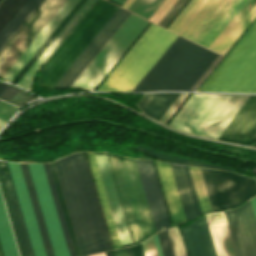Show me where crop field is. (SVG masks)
Returning <instances> with one entry per match:
<instances>
[{
  "instance_id": "obj_1",
  "label": "crop field",
  "mask_w": 256,
  "mask_h": 256,
  "mask_svg": "<svg viewBox=\"0 0 256 256\" xmlns=\"http://www.w3.org/2000/svg\"><path fill=\"white\" fill-rule=\"evenodd\" d=\"M176 37L152 23L97 91H133ZM216 56L178 36L134 91H189Z\"/></svg>"
},
{
  "instance_id": "obj_2",
  "label": "crop field",
  "mask_w": 256,
  "mask_h": 256,
  "mask_svg": "<svg viewBox=\"0 0 256 256\" xmlns=\"http://www.w3.org/2000/svg\"><path fill=\"white\" fill-rule=\"evenodd\" d=\"M54 163L80 254L111 250L85 154L75 153Z\"/></svg>"
},
{
  "instance_id": "obj_3",
  "label": "crop field",
  "mask_w": 256,
  "mask_h": 256,
  "mask_svg": "<svg viewBox=\"0 0 256 256\" xmlns=\"http://www.w3.org/2000/svg\"><path fill=\"white\" fill-rule=\"evenodd\" d=\"M248 97L192 93L169 126L217 139Z\"/></svg>"
},
{
  "instance_id": "obj_4",
  "label": "crop field",
  "mask_w": 256,
  "mask_h": 256,
  "mask_svg": "<svg viewBox=\"0 0 256 256\" xmlns=\"http://www.w3.org/2000/svg\"><path fill=\"white\" fill-rule=\"evenodd\" d=\"M246 1L192 0L169 30L208 48Z\"/></svg>"
},
{
  "instance_id": "obj_5",
  "label": "crop field",
  "mask_w": 256,
  "mask_h": 256,
  "mask_svg": "<svg viewBox=\"0 0 256 256\" xmlns=\"http://www.w3.org/2000/svg\"><path fill=\"white\" fill-rule=\"evenodd\" d=\"M198 91L256 93V22Z\"/></svg>"
},
{
  "instance_id": "obj_6",
  "label": "crop field",
  "mask_w": 256,
  "mask_h": 256,
  "mask_svg": "<svg viewBox=\"0 0 256 256\" xmlns=\"http://www.w3.org/2000/svg\"><path fill=\"white\" fill-rule=\"evenodd\" d=\"M108 158L135 245L156 233L136 164L112 154Z\"/></svg>"
},
{
  "instance_id": "obj_7",
  "label": "crop field",
  "mask_w": 256,
  "mask_h": 256,
  "mask_svg": "<svg viewBox=\"0 0 256 256\" xmlns=\"http://www.w3.org/2000/svg\"><path fill=\"white\" fill-rule=\"evenodd\" d=\"M118 7L100 0L43 68L40 84L52 88Z\"/></svg>"
},
{
  "instance_id": "obj_8",
  "label": "crop field",
  "mask_w": 256,
  "mask_h": 256,
  "mask_svg": "<svg viewBox=\"0 0 256 256\" xmlns=\"http://www.w3.org/2000/svg\"><path fill=\"white\" fill-rule=\"evenodd\" d=\"M148 24L131 14L72 86L95 90Z\"/></svg>"
},
{
  "instance_id": "obj_9",
  "label": "crop field",
  "mask_w": 256,
  "mask_h": 256,
  "mask_svg": "<svg viewBox=\"0 0 256 256\" xmlns=\"http://www.w3.org/2000/svg\"><path fill=\"white\" fill-rule=\"evenodd\" d=\"M200 169L213 212L231 209L256 194V182L252 178Z\"/></svg>"
},
{
  "instance_id": "obj_10",
  "label": "crop field",
  "mask_w": 256,
  "mask_h": 256,
  "mask_svg": "<svg viewBox=\"0 0 256 256\" xmlns=\"http://www.w3.org/2000/svg\"><path fill=\"white\" fill-rule=\"evenodd\" d=\"M66 0H43L0 51V78L22 54Z\"/></svg>"
},
{
  "instance_id": "obj_11",
  "label": "crop field",
  "mask_w": 256,
  "mask_h": 256,
  "mask_svg": "<svg viewBox=\"0 0 256 256\" xmlns=\"http://www.w3.org/2000/svg\"><path fill=\"white\" fill-rule=\"evenodd\" d=\"M55 256H69L42 164H28Z\"/></svg>"
},
{
  "instance_id": "obj_12",
  "label": "crop field",
  "mask_w": 256,
  "mask_h": 256,
  "mask_svg": "<svg viewBox=\"0 0 256 256\" xmlns=\"http://www.w3.org/2000/svg\"><path fill=\"white\" fill-rule=\"evenodd\" d=\"M129 15L130 13L118 8L53 88H69Z\"/></svg>"
},
{
  "instance_id": "obj_13",
  "label": "crop field",
  "mask_w": 256,
  "mask_h": 256,
  "mask_svg": "<svg viewBox=\"0 0 256 256\" xmlns=\"http://www.w3.org/2000/svg\"><path fill=\"white\" fill-rule=\"evenodd\" d=\"M224 213L237 256H256V218L251 201Z\"/></svg>"
},
{
  "instance_id": "obj_14",
  "label": "crop field",
  "mask_w": 256,
  "mask_h": 256,
  "mask_svg": "<svg viewBox=\"0 0 256 256\" xmlns=\"http://www.w3.org/2000/svg\"><path fill=\"white\" fill-rule=\"evenodd\" d=\"M155 224L156 231L170 227L163 197L152 161L135 160Z\"/></svg>"
},
{
  "instance_id": "obj_15",
  "label": "crop field",
  "mask_w": 256,
  "mask_h": 256,
  "mask_svg": "<svg viewBox=\"0 0 256 256\" xmlns=\"http://www.w3.org/2000/svg\"><path fill=\"white\" fill-rule=\"evenodd\" d=\"M256 138V96H250L219 140L251 145Z\"/></svg>"
},
{
  "instance_id": "obj_16",
  "label": "crop field",
  "mask_w": 256,
  "mask_h": 256,
  "mask_svg": "<svg viewBox=\"0 0 256 256\" xmlns=\"http://www.w3.org/2000/svg\"><path fill=\"white\" fill-rule=\"evenodd\" d=\"M256 17V0H248L208 49L225 55Z\"/></svg>"
},
{
  "instance_id": "obj_17",
  "label": "crop field",
  "mask_w": 256,
  "mask_h": 256,
  "mask_svg": "<svg viewBox=\"0 0 256 256\" xmlns=\"http://www.w3.org/2000/svg\"><path fill=\"white\" fill-rule=\"evenodd\" d=\"M9 163L11 174L14 180L18 198L21 204L25 222L28 228L32 246L35 252V256H46L40 233L37 227L35 216L32 210L30 199L27 193L23 175L20 169V165L16 163Z\"/></svg>"
},
{
  "instance_id": "obj_18",
  "label": "crop field",
  "mask_w": 256,
  "mask_h": 256,
  "mask_svg": "<svg viewBox=\"0 0 256 256\" xmlns=\"http://www.w3.org/2000/svg\"><path fill=\"white\" fill-rule=\"evenodd\" d=\"M95 154H106V153H102V152H94ZM96 156V160H97V163H98V166H99V170H100V173H101V176H102V180H103V183H104V187H105V190H106V193H107V197H108V200H109V203H110V207H111V210H112V213H113V217H114V220H115V224H116V227H117V230H118V234H119V237H120V240H121V244H126V243H130V237H129V234H128V231H127V227H126V224H125V221H124V217H123V214H122V210H121V207H120V204H119V200H118V197H117V193H116V190H115V187H114V183H113V180H112V177H111V173H110V170H109V166H108V163H107V160H106V156L105 155H95ZM113 176V175H112ZM130 245H133L132 243L130 244H127V245H123L122 247L124 246H130Z\"/></svg>"
},
{
  "instance_id": "obj_19",
  "label": "crop field",
  "mask_w": 256,
  "mask_h": 256,
  "mask_svg": "<svg viewBox=\"0 0 256 256\" xmlns=\"http://www.w3.org/2000/svg\"><path fill=\"white\" fill-rule=\"evenodd\" d=\"M78 1L79 0H67L65 2V4L60 8V10L55 14V16L50 20V22L45 26V28L40 32V34L35 38L3 78L12 82L16 75L21 71V69L26 65V63L31 59V57L36 53L40 46Z\"/></svg>"
},
{
  "instance_id": "obj_20",
  "label": "crop field",
  "mask_w": 256,
  "mask_h": 256,
  "mask_svg": "<svg viewBox=\"0 0 256 256\" xmlns=\"http://www.w3.org/2000/svg\"><path fill=\"white\" fill-rule=\"evenodd\" d=\"M95 1L96 0H87L84 3V5L82 4L83 6L78 10V12L68 22V24L62 29V31L57 35V37L51 42V44L46 48V50L40 55V57L35 61V63L30 67V69L24 74V76L19 80L17 85H20L31 91V81L35 73L49 58V56L54 52V50L59 46V44L64 40V38L69 34V32L75 27V25L80 21V19L95 3Z\"/></svg>"
},
{
  "instance_id": "obj_21",
  "label": "crop field",
  "mask_w": 256,
  "mask_h": 256,
  "mask_svg": "<svg viewBox=\"0 0 256 256\" xmlns=\"http://www.w3.org/2000/svg\"><path fill=\"white\" fill-rule=\"evenodd\" d=\"M182 231L190 256H216L205 216Z\"/></svg>"
},
{
  "instance_id": "obj_22",
  "label": "crop field",
  "mask_w": 256,
  "mask_h": 256,
  "mask_svg": "<svg viewBox=\"0 0 256 256\" xmlns=\"http://www.w3.org/2000/svg\"><path fill=\"white\" fill-rule=\"evenodd\" d=\"M155 163L166 197L170 215L173 221V225L175 226L179 223L186 221V219L170 169V165L167 163Z\"/></svg>"
},
{
  "instance_id": "obj_23",
  "label": "crop field",
  "mask_w": 256,
  "mask_h": 256,
  "mask_svg": "<svg viewBox=\"0 0 256 256\" xmlns=\"http://www.w3.org/2000/svg\"><path fill=\"white\" fill-rule=\"evenodd\" d=\"M218 256H236L223 212L206 215Z\"/></svg>"
},
{
  "instance_id": "obj_24",
  "label": "crop field",
  "mask_w": 256,
  "mask_h": 256,
  "mask_svg": "<svg viewBox=\"0 0 256 256\" xmlns=\"http://www.w3.org/2000/svg\"><path fill=\"white\" fill-rule=\"evenodd\" d=\"M0 179H1V182H2V186H3V189H4V193H5V196H6V200H7V203H8L9 210H10V214H11V217H12V220H13V224H14V227H15V231H16V234H17V238H18V241H19V245H20V248H21L22 255L23 256H31L30 251H29V247H28V244H27V241H26V237H25V234H24V231H23V227H22V224H21V221H20V217H19V214H18V211H17V207H16V204H15V201H14V197H13V194H12V191H11V187H10V184H9V181H8V177H7L5 168H4V164L1 161H0Z\"/></svg>"
},
{
  "instance_id": "obj_25",
  "label": "crop field",
  "mask_w": 256,
  "mask_h": 256,
  "mask_svg": "<svg viewBox=\"0 0 256 256\" xmlns=\"http://www.w3.org/2000/svg\"><path fill=\"white\" fill-rule=\"evenodd\" d=\"M179 94L180 93L144 94L138 104L144 113L160 121Z\"/></svg>"
},
{
  "instance_id": "obj_26",
  "label": "crop field",
  "mask_w": 256,
  "mask_h": 256,
  "mask_svg": "<svg viewBox=\"0 0 256 256\" xmlns=\"http://www.w3.org/2000/svg\"><path fill=\"white\" fill-rule=\"evenodd\" d=\"M86 154H87V158H88L90 168H91V171H92V174H93V178H94V181H95V184H96V188H97V191H98V194H99V198H100V201H101V204H102V208H103V211H104V214H105V218H106V221H107V224H108V228H109V231H110V234H111V238H112V241H113V244H114V248L115 249L120 248L121 247L120 242H119L118 235H117V232H116V229H115V225H114L113 218H112V215H111V211H110V208H109V205H108V201H107L106 194H105V191H104V187H103V184H102V181H101V177H100L99 170H98V167H97V163H96V160H95V157H94V153L89 152V153H86Z\"/></svg>"
},
{
  "instance_id": "obj_27",
  "label": "crop field",
  "mask_w": 256,
  "mask_h": 256,
  "mask_svg": "<svg viewBox=\"0 0 256 256\" xmlns=\"http://www.w3.org/2000/svg\"><path fill=\"white\" fill-rule=\"evenodd\" d=\"M20 165H21V169H22V172H23V175H24V179H25V182H26L28 193H29V196H30V199H31L33 210H34V213H35V216H36L38 227H39V230H40V233H41V237H42V240H43V244H44V247H45L46 254H47V256H54L52 246H51V243H50V240H49V236H48V233H47V229H46L44 219H43V216H42V213H41V209H40V206H39V202H38L36 192H35V189H34V185H33L31 175H30V172H29V169H28V165L27 164H20Z\"/></svg>"
},
{
  "instance_id": "obj_28",
  "label": "crop field",
  "mask_w": 256,
  "mask_h": 256,
  "mask_svg": "<svg viewBox=\"0 0 256 256\" xmlns=\"http://www.w3.org/2000/svg\"><path fill=\"white\" fill-rule=\"evenodd\" d=\"M42 2V0H27L23 6L18 10L14 17L0 32V50L20 28V26L26 21L36 7Z\"/></svg>"
},
{
  "instance_id": "obj_29",
  "label": "crop field",
  "mask_w": 256,
  "mask_h": 256,
  "mask_svg": "<svg viewBox=\"0 0 256 256\" xmlns=\"http://www.w3.org/2000/svg\"><path fill=\"white\" fill-rule=\"evenodd\" d=\"M0 242H1L2 249L5 256H19L1 194H0ZM1 245H0V256H3Z\"/></svg>"
},
{
  "instance_id": "obj_30",
  "label": "crop field",
  "mask_w": 256,
  "mask_h": 256,
  "mask_svg": "<svg viewBox=\"0 0 256 256\" xmlns=\"http://www.w3.org/2000/svg\"><path fill=\"white\" fill-rule=\"evenodd\" d=\"M171 165V169L174 175V179L177 185V189L180 195V199L183 205V209L186 215V219L195 217V211L192 205L190 194L187 188L185 177L182 171V167L179 165Z\"/></svg>"
},
{
  "instance_id": "obj_31",
  "label": "crop field",
  "mask_w": 256,
  "mask_h": 256,
  "mask_svg": "<svg viewBox=\"0 0 256 256\" xmlns=\"http://www.w3.org/2000/svg\"><path fill=\"white\" fill-rule=\"evenodd\" d=\"M128 148H132V149L144 152V153H146V154H148L152 157H155L157 159L172 162V163L194 165V166L205 167V168H213V169L230 170V169L225 168V167L215 166V165H211V164H207V163H203V162H199V161H195V160H191V159H187V158L167 155V154L155 151L153 149H150V148H147V147H144V146H141V145L137 146L136 148H133V147H128Z\"/></svg>"
},
{
  "instance_id": "obj_32",
  "label": "crop field",
  "mask_w": 256,
  "mask_h": 256,
  "mask_svg": "<svg viewBox=\"0 0 256 256\" xmlns=\"http://www.w3.org/2000/svg\"><path fill=\"white\" fill-rule=\"evenodd\" d=\"M43 165H44V169H45V172H46V175H47V179H48L49 186H50V189H51V192H52V196H53V199H54V203H55V206H56V209H57V213H58V216H59V219H60V223H61V226H62V230H63L64 236H65V240H66V243H67V247H68L70 256H76L75 252H74L72 242H71V238H70V235H69V232H68V228H67V225H66V222H65V218H64V215H63V212H62V208H61V205H60V202H59V198H58V195H57V192H56V188H55V185H54V182H53V178H52V175H51V172H50L49 165L48 164H43Z\"/></svg>"
},
{
  "instance_id": "obj_33",
  "label": "crop field",
  "mask_w": 256,
  "mask_h": 256,
  "mask_svg": "<svg viewBox=\"0 0 256 256\" xmlns=\"http://www.w3.org/2000/svg\"><path fill=\"white\" fill-rule=\"evenodd\" d=\"M86 0H80L71 12L66 16V18L61 22L57 29L52 33V35L47 39V41L42 45L38 52L33 56V58L28 62L24 69L19 73V75L14 79L13 83H17L18 80L23 76V74L29 69V67L34 63V61L39 57V55L45 50V48L50 44V42L56 37V35L61 31V29L67 24V22L72 18V16L77 12V10L82 6Z\"/></svg>"
},
{
  "instance_id": "obj_34",
  "label": "crop field",
  "mask_w": 256,
  "mask_h": 256,
  "mask_svg": "<svg viewBox=\"0 0 256 256\" xmlns=\"http://www.w3.org/2000/svg\"><path fill=\"white\" fill-rule=\"evenodd\" d=\"M203 213L212 212L199 168L189 167Z\"/></svg>"
},
{
  "instance_id": "obj_35",
  "label": "crop field",
  "mask_w": 256,
  "mask_h": 256,
  "mask_svg": "<svg viewBox=\"0 0 256 256\" xmlns=\"http://www.w3.org/2000/svg\"><path fill=\"white\" fill-rule=\"evenodd\" d=\"M163 1L164 0H135L128 10L149 19Z\"/></svg>"
},
{
  "instance_id": "obj_36",
  "label": "crop field",
  "mask_w": 256,
  "mask_h": 256,
  "mask_svg": "<svg viewBox=\"0 0 256 256\" xmlns=\"http://www.w3.org/2000/svg\"><path fill=\"white\" fill-rule=\"evenodd\" d=\"M26 0H3L0 3V31Z\"/></svg>"
},
{
  "instance_id": "obj_37",
  "label": "crop field",
  "mask_w": 256,
  "mask_h": 256,
  "mask_svg": "<svg viewBox=\"0 0 256 256\" xmlns=\"http://www.w3.org/2000/svg\"><path fill=\"white\" fill-rule=\"evenodd\" d=\"M49 165H50L51 172H52V175H53V178H54V182H55V185H56V188H57V192H58V195H59V198H60V202H61V205H62V208H63V212H64V215H65V218H66V222H67V225H68V228H69V232H70V235H71V238H72V242H73V245H74V248H75V252H76V255L79 256L80 255L79 250H78L77 243H76V240H75V237H74V233H73V230H72V226H71V223H70L68 212H67V209H66V206H65V202H64V199H63V195H62V192H61L59 181H58L56 171H55V168H54V164L52 162Z\"/></svg>"
},
{
  "instance_id": "obj_38",
  "label": "crop field",
  "mask_w": 256,
  "mask_h": 256,
  "mask_svg": "<svg viewBox=\"0 0 256 256\" xmlns=\"http://www.w3.org/2000/svg\"><path fill=\"white\" fill-rule=\"evenodd\" d=\"M168 231H169V235L171 238V242L173 245L175 255L176 256H187L186 252H185L184 245H183V241L181 238V234H180L179 230L177 229V227L171 228Z\"/></svg>"
},
{
  "instance_id": "obj_39",
  "label": "crop field",
  "mask_w": 256,
  "mask_h": 256,
  "mask_svg": "<svg viewBox=\"0 0 256 256\" xmlns=\"http://www.w3.org/2000/svg\"><path fill=\"white\" fill-rule=\"evenodd\" d=\"M182 167H183V171H184V174H185V177H186L188 188H189V191H190V194H191L193 205H194V208H195V211H196V215L198 216V215L202 214V212H201V208H200L198 198H197V195H196V192H195V188H194V185H193V182H192V178H191V175H190V172H189V168L185 167V166H182Z\"/></svg>"
},
{
  "instance_id": "obj_40",
  "label": "crop field",
  "mask_w": 256,
  "mask_h": 256,
  "mask_svg": "<svg viewBox=\"0 0 256 256\" xmlns=\"http://www.w3.org/2000/svg\"><path fill=\"white\" fill-rule=\"evenodd\" d=\"M187 2L188 0H178L171 10L166 14V16L161 20L159 25L166 28Z\"/></svg>"
},
{
  "instance_id": "obj_41",
  "label": "crop field",
  "mask_w": 256,
  "mask_h": 256,
  "mask_svg": "<svg viewBox=\"0 0 256 256\" xmlns=\"http://www.w3.org/2000/svg\"><path fill=\"white\" fill-rule=\"evenodd\" d=\"M18 108L0 100V128L13 115Z\"/></svg>"
},
{
  "instance_id": "obj_42",
  "label": "crop field",
  "mask_w": 256,
  "mask_h": 256,
  "mask_svg": "<svg viewBox=\"0 0 256 256\" xmlns=\"http://www.w3.org/2000/svg\"><path fill=\"white\" fill-rule=\"evenodd\" d=\"M158 235H159L164 256H175L172 249L171 242H170V238L168 235V231L166 230V231L160 232L158 233Z\"/></svg>"
},
{
  "instance_id": "obj_43",
  "label": "crop field",
  "mask_w": 256,
  "mask_h": 256,
  "mask_svg": "<svg viewBox=\"0 0 256 256\" xmlns=\"http://www.w3.org/2000/svg\"><path fill=\"white\" fill-rule=\"evenodd\" d=\"M188 94L189 93H181L180 94V96L177 98V100L174 102V104L171 106V108L168 110V112L162 118L161 122L167 124V122L170 120V118L173 116V114L176 112V110L179 108V106L182 104V102L185 100V98L188 96Z\"/></svg>"
},
{
  "instance_id": "obj_44",
  "label": "crop field",
  "mask_w": 256,
  "mask_h": 256,
  "mask_svg": "<svg viewBox=\"0 0 256 256\" xmlns=\"http://www.w3.org/2000/svg\"><path fill=\"white\" fill-rule=\"evenodd\" d=\"M4 163H5V166H6V168H7V173H8V175H9L10 182H11V185H12V188H13V192H14L15 199H16V202H17V206H18V209H19V212H20V216H21V219H22V223H23V226H24V230H25V233H26V236H27V240H28V243H29V247H30V250H31V254H32V256H34V252H33L32 246H31V242H30L29 235H28V232H27V228H26V225H25V222H24V218H23V215H22V211H21V208H20V204H19V201H18V198H17V194H16V191H15V187H14V184H13V180H12V177H11V174H10V170H9V167H8V163H7V162H4Z\"/></svg>"
},
{
  "instance_id": "obj_45",
  "label": "crop field",
  "mask_w": 256,
  "mask_h": 256,
  "mask_svg": "<svg viewBox=\"0 0 256 256\" xmlns=\"http://www.w3.org/2000/svg\"><path fill=\"white\" fill-rule=\"evenodd\" d=\"M37 97L30 95L28 93H25L21 90L18 91V93L13 97L11 102L16 103L18 105H22L30 100L36 99Z\"/></svg>"
},
{
  "instance_id": "obj_46",
  "label": "crop field",
  "mask_w": 256,
  "mask_h": 256,
  "mask_svg": "<svg viewBox=\"0 0 256 256\" xmlns=\"http://www.w3.org/2000/svg\"><path fill=\"white\" fill-rule=\"evenodd\" d=\"M146 256H158L154 245L153 237L142 242Z\"/></svg>"
},
{
  "instance_id": "obj_47",
  "label": "crop field",
  "mask_w": 256,
  "mask_h": 256,
  "mask_svg": "<svg viewBox=\"0 0 256 256\" xmlns=\"http://www.w3.org/2000/svg\"><path fill=\"white\" fill-rule=\"evenodd\" d=\"M17 91H18V89L8 85L7 88L2 92L0 97L10 101L11 98L16 94Z\"/></svg>"
},
{
  "instance_id": "obj_48",
  "label": "crop field",
  "mask_w": 256,
  "mask_h": 256,
  "mask_svg": "<svg viewBox=\"0 0 256 256\" xmlns=\"http://www.w3.org/2000/svg\"><path fill=\"white\" fill-rule=\"evenodd\" d=\"M222 56L218 55L217 58L213 61V63L208 67V69L204 72V74L200 77V79L195 83V85L191 88L190 91H194L195 88L200 84V82L205 78V76L209 73V71L214 67V65L219 61Z\"/></svg>"
},
{
  "instance_id": "obj_49",
  "label": "crop field",
  "mask_w": 256,
  "mask_h": 256,
  "mask_svg": "<svg viewBox=\"0 0 256 256\" xmlns=\"http://www.w3.org/2000/svg\"><path fill=\"white\" fill-rule=\"evenodd\" d=\"M130 249H131L132 256H145L141 244L135 247H131Z\"/></svg>"
},
{
  "instance_id": "obj_50",
  "label": "crop field",
  "mask_w": 256,
  "mask_h": 256,
  "mask_svg": "<svg viewBox=\"0 0 256 256\" xmlns=\"http://www.w3.org/2000/svg\"><path fill=\"white\" fill-rule=\"evenodd\" d=\"M153 237H154V241H155L156 248H157L159 256H163L162 249H161V246H160V242H159V239H158V235L156 234Z\"/></svg>"
},
{
  "instance_id": "obj_51",
  "label": "crop field",
  "mask_w": 256,
  "mask_h": 256,
  "mask_svg": "<svg viewBox=\"0 0 256 256\" xmlns=\"http://www.w3.org/2000/svg\"><path fill=\"white\" fill-rule=\"evenodd\" d=\"M114 252V256H128V253H127V249L124 248V249H119V250H115L113 251Z\"/></svg>"
},
{
  "instance_id": "obj_52",
  "label": "crop field",
  "mask_w": 256,
  "mask_h": 256,
  "mask_svg": "<svg viewBox=\"0 0 256 256\" xmlns=\"http://www.w3.org/2000/svg\"><path fill=\"white\" fill-rule=\"evenodd\" d=\"M108 1H110V2H112V3H114V4H116V5H118V6H120V7H122V4H124L126 0H116V1H118V2H120V3H122V4H120V3H118V2H116V1H114V0H108Z\"/></svg>"
},
{
  "instance_id": "obj_53",
  "label": "crop field",
  "mask_w": 256,
  "mask_h": 256,
  "mask_svg": "<svg viewBox=\"0 0 256 256\" xmlns=\"http://www.w3.org/2000/svg\"><path fill=\"white\" fill-rule=\"evenodd\" d=\"M252 201V205H253V208H254V211H255V215H256V197L251 199Z\"/></svg>"
},
{
  "instance_id": "obj_54",
  "label": "crop field",
  "mask_w": 256,
  "mask_h": 256,
  "mask_svg": "<svg viewBox=\"0 0 256 256\" xmlns=\"http://www.w3.org/2000/svg\"><path fill=\"white\" fill-rule=\"evenodd\" d=\"M132 2H133V0H128V1L124 4L123 8L127 9L128 6H129Z\"/></svg>"
},
{
  "instance_id": "obj_55",
  "label": "crop field",
  "mask_w": 256,
  "mask_h": 256,
  "mask_svg": "<svg viewBox=\"0 0 256 256\" xmlns=\"http://www.w3.org/2000/svg\"><path fill=\"white\" fill-rule=\"evenodd\" d=\"M6 86H7V84L0 83V93L5 89Z\"/></svg>"
},
{
  "instance_id": "obj_56",
  "label": "crop field",
  "mask_w": 256,
  "mask_h": 256,
  "mask_svg": "<svg viewBox=\"0 0 256 256\" xmlns=\"http://www.w3.org/2000/svg\"><path fill=\"white\" fill-rule=\"evenodd\" d=\"M90 256H105V254L101 253V254H95V255H90Z\"/></svg>"
},
{
  "instance_id": "obj_57",
  "label": "crop field",
  "mask_w": 256,
  "mask_h": 256,
  "mask_svg": "<svg viewBox=\"0 0 256 256\" xmlns=\"http://www.w3.org/2000/svg\"><path fill=\"white\" fill-rule=\"evenodd\" d=\"M105 254H106V256H111V252L110 251L106 252Z\"/></svg>"
},
{
  "instance_id": "obj_58",
  "label": "crop field",
  "mask_w": 256,
  "mask_h": 256,
  "mask_svg": "<svg viewBox=\"0 0 256 256\" xmlns=\"http://www.w3.org/2000/svg\"><path fill=\"white\" fill-rule=\"evenodd\" d=\"M127 249H128L129 256H131L130 249L129 248H127Z\"/></svg>"
},
{
  "instance_id": "obj_59",
  "label": "crop field",
  "mask_w": 256,
  "mask_h": 256,
  "mask_svg": "<svg viewBox=\"0 0 256 256\" xmlns=\"http://www.w3.org/2000/svg\"><path fill=\"white\" fill-rule=\"evenodd\" d=\"M253 146H255L256 147V142L254 143V145Z\"/></svg>"
}]
</instances>
